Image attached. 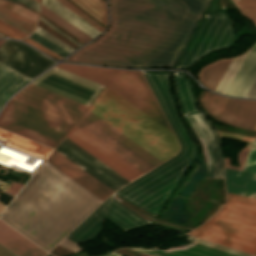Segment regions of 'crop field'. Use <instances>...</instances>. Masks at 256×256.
<instances>
[{"label": "crop field", "mask_w": 256, "mask_h": 256, "mask_svg": "<svg viewBox=\"0 0 256 256\" xmlns=\"http://www.w3.org/2000/svg\"><path fill=\"white\" fill-rule=\"evenodd\" d=\"M112 25L68 61L173 67L198 20L157 0H109Z\"/></svg>", "instance_id": "8a807250"}, {"label": "crop field", "mask_w": 256, "mask_h": 256, "mask_svg": "<svg viewBox=\"0 0 256 256\" xmlns=\"http://www.w3.org/2000/svg\"><path fill=\"white\" fill-rule=\"evenodd\" d=\"M143 73L171 124L182 150L174 158L109 196L67 236L78 244L95 239L103 230L106 219L124 232L149 224L150 222L134 214L112 197L117 195L156 216L198 156V149L180 118L172 95L170 73L144 71Z\"/></svg>", "instance_id": "ac0d7876"}, {"label": "crop field", "mask_w": 256, "mask_h": 256, "mask_svg": "<svg viewBox=\"0 0 256 256\" xmlns=\"http://www.w3.org/2000/svg\"><path fill=\"white\" fill-rule=\"evenodd\" d=\"M56 67L109 87L172 132L140 71L63 63ZM107 87L88 110L162 162L178 152L179 146L173 132Z\"/></svg>", "instance_id": "34b2d1b8"}, {"label": "crop field", "mask_w": 256, "mask_h": 256, "mask_svg": "<svg viewBox=\"0 0 256 256\" xmlns=\"http://www.w3.org/2000/svg\"><path fill=\"white\" fill-rule=\"evenodd\" d=\"M101 202L45 161L0 219L49 251Z\"/></svg>", "instance_id": "412701ff"}, {"label": "crop field", "mask_w": 256, "mask_h": 256, "mask_svg": "<svg viewBox=\"0 0 256 256\" xmlns=\"http://www.w3.org/2000/svg\"><path fill=\"white\" fill-rule=\"evenodd\" d=\"M227 196L218 213L187 234L256 255V199Z\"/></svg>", "instance_id": "f4fd0767"}, {"label": "crop field", "mask_w": 256, "mask_h": 256, "mask_svg": "<svg viewBox=\"0 0 256 256\" xmlns=\"http://www.w3.org/2000/svg\"><path fill=\"white\" fill-rule=\"evenodd\" d=\"M73 123L10 100L0 115V128L55 148Z\"/></svg>", "instance_id": "dd49c442"}, {"label": "crop field", "mask_w": 256, "mask_h": 256, "mask_svg": "<svg viewBox=\"0 0 256 256\" xmlns=\"http://www.w3.org/2000/svg\"><path fill=\"white\" fill-rule=\"evenodd\" d=\"M234 39V24L227 15H205L176 68H189L209 52L228 47Z\"/></svg>", "instance_id": "e52e79f7"}, {"label": "crop field", "mask_w": 256, "mask_h": 256, "mask_svg": "<svg viewBox=\"0 0 256 256\" xmlns=\"http://www.w3.org/2000/svg\"><path fill=\"white\" fill-rule=\"evenodd\" d=\"M32 84L60 94L87 106L103 86L58 69L56 67L39 77Z\"/></svg>", "instance_id": "d8731c3e"}, {"label": "crop field", "mask_w": 256, "mask_h": 256, "mask_svg": "<svg viewBox=\"0 0 256 256\" xmlns=\"http://www.w3.org/2000/svg\"><path fill=\"white\" fill-rule=\"evenodd\" d=\"M12 100L75 123L87 106L59 96L32 84L17 93Z\"/></svg>", "instance_id": "5a996713"}, {"label": "crop field", "mask_w": 256, "mask_h": 256, "mask_svg": "<svg viewBox=\"0 0 256 256\" xmlns=\"http://www.w3.org/2000/svg\"><path fill=\"white\" fill-rule=\"evenodd\" d=\"M0 62L32 79L56 63L23 43L12 40H7L0 47Z\"/></svg>", "instance_id": "3316defc"}, {"label": "crop field", "mask_w": 256, "mask_h": 256, "mask_svg": "<svg viewBox=\"0 0 256 256\" xmlns=\"http://www.w3.org/2000/svg\"><path fill=\"white\" fill-rule=\"evenodd\" d=\"M66 137L129 182L144 174L76 125Z\"/></svg>", "instance_id": "28ad6ade"}, {"label": "crop field", "mask_w": 256, "mask_h": 256, "mask_svg": "<svg viewBox=\"0 0 256 256\" xmlns=\"http://www.w3.org/2000/svg\"><path fill=\"white\" fill-rule=\"evenodd\" d=\"M56 150L113 191L129 183L66 137Z\"/></svg>", "instance_id": "d1516ede"}, {"label": "crop field", "mask_w": 256, "mask_h": 256, "mask_svg": "<svg viewBox=\"0 0 256 256\" xmlns=\"http://www.w3.org/2000/svg\"><path fill=\"white\" fill-rule=\"evenodd\" d=\"M87 133L95 137L97 140L102 142L104 145L109 147L111 150L116 152L118 155L123 157L125 160L133 164L135 167L140 169L142 172H147L152 169L153 166L148 161L140 157L138 154L130 150L128 147L120 143L118 140L110 136L108 133L100 129L98 126L90 122L85 117H81V119L76 124Z\"/></svg>", "instance_id": "22f410ed"}, {"label": "crop field", "mask_w": 256, "mask_h": 256, "mask_svg": "<svg viewBox=\"0 0 256 256\" xmlns=\"http://www.w3.org/2000/svg\"><path fill=\"white\" fill-rule=\"evenodd\" d=\"M46 161H48L50 164L55 166L61 172L66 174L68 177L73 179L75 182L80 184L82 187L87 189L102 201L112 193V191H110L108 188L100 184L98 181L93 179L91 176L83 172L81 169L76 167L74 164L69 162L55 151L52 152Z\"/></svg>", "instance_id": "cbeb9de0"}, {"label": "crop field", "mask_w": 256, "mask_h": 256, "mask_svg": "<svg viewBox=\"0 0 256 256\" xmlns=\"http://www.w3.org/2000/svg\"><path fill=\"white\" fill-rule=\"evenodd\" d=\"M219 120L231 126L252 130L256 123V101L229 98Z\"/></svg>", "instance_id": "5142ce71"}, {"label": "crop field", "mask_w": 256, "mask_h": 256, "mask_svg": "<svg viewBox=\"0 0 256 256\" xmlns=\"http://www.w3.org/2000/svg\"><path fill=\"white\" fill-rule=\"evenodd\" d=\"M130 248L136 249L151 256H250L244 253H240L234 250L210 244L201 240L191 245L190 248L184 253L174 250H168L167 252H165L155 248Z\"/></svg>", "instance_id": "d9b57169"}, {"label": "crop field", "mask_w": 256, "mask_h": 256, "mask_svg": "<svg viewBox=\"0 0 256 256\" xmlns=\"http://www.w3.org/2000/svg\"><path fill=\"white\" fill-rule=\"evenodd\" d=\"M0 244L17 256H44L46 252L0 221Z\"/></svg>", "instance_id": "733c2abd"}, {"label": "crop field", "mask_w": 256, "mask_h": 256, "mask_svg": "<svg viewBox=\"0 0 256 256\" xmlns=\"http://www.w3.org/2000/svg\"><path fill=\"white\" fill-rule=\"evenodd\" d=\"M256 76V49H250L226 94L244 97Z\"/></svg>", "instance_id": "4a817a6b"}, {"label": "crop field", "mask_w": 256, "mask_h": 256, "mask_svg": "<svg viewBox=\"0 0 256 256\" xmlns=\"http://www.w3.org/2000/svg\"><path fill=\"white\" fill-rule=\"evenodd\" d=\"M30 80L32 79L0 63V107L8 97Z\"/></svg>", "instance_id": "bc2a9ffb"}, {"label": "crop field", "mask_w": 256, "mask_h": 256, "mask_svg": "<svg viewBox=\"0 0 256 256\" xmlns=\"http://www.w3.org/2000/svg\"><path fill=\"white\" fill-rule=\"evenodd\" d=\"M174 89L184 114L200 112L196 105L189 80L181 74H173Z\"/></svg>", "instance_id": "214f88e0"}, {"label": "crop field", "mask_w": 256, "mask_h": 256, "mask_svg": "<svg viewBox=\"0 0 256 256\" xmlns=\"http://www.w3.org/2000/svg\"><path fill=\"white\" fill-rule=\"evenodd\" d=\"M0 139L6 141L4 145L15 148L17 150L23 151L25 153L31 154L33 156L39 157L41 159L48 156L51 149L31 142L29 140L23 139L6 131L0 129Z\"/></svg>", "instance_id": "92a150f3"}, {"label": "crop field", "mask_w": 256, "mask_h": 256, "mask_svg": "<svg viewBox=\"0 0 256 256\" xmlns=\"http://www.w3.org/2000/svg\"><path fill=\"white\" fill-rule=\"evenodd\" d=\"M42 5L89 35L90 37H95L97 34L101 33L94 27L86 23L84 20L67 10L63 7L57 0H42Z\"/></svg>", "instance_id": "dafd665d"}, {"label": "crop field", "mask_w": 256, "mask_h": 256, "mask_svg": "<svg viewBox=\"0 0 256 256\" xmlns=\"http://www.w3.org/2000/svg\"><path fill=\"white\" fill-rule=\"evenodd\" d=\"M86 118H88L90 121H92L93 123H95L96 125H98L100 128H102L103 130H105L106 132H108L110 135H112L113 137H115L116 139H118L120 142H122L123 144H125L126 146H128L130 149H132L133 151H135L136 153H138L140 156H142L143 158H145L146 160H148L150 163H152L153 165H158L162 162H160L158 159H156L155 157H153L152 155H150L148 152H146L145 150H143L141 147H139L138 145H136L135 143H133L131 140H129L128 138H126L124 135H122L121 133H119L117 130H115L114 128H112L111 126H109L107 123H105L104 121H102L100 118H98L97 116H95L94 114H92L90 111H86V113L83 115Z\"/></svg>", "instance_id": "00972430"}, {"label": "crop field", "mask_w": 256, "mask_h": 256, "mask_svg": "<svg viewBox=\"0 0 256 256\" xmlns=\"http://www.w3.org/2000/svg\"><path fill=\"white\" fill-rule=\"evenodd\" d=\"M0 22L28 36L36 24L0 7Z\"/></svg>", "instance_id": "a9b5d70f"}, {"label": "crop field", "mask_w": 256, "mask_h": 256, "mask_svg": "<svg viewBox=\"0 0 256 256\" xmlns=\"http://www.w3.org/2000/svg\"><path fill=\"white\" fill-rule=\"evenodd\" d=\"M200 19L210 0H160Z\"/></svg>", "instance_id": "4177f3b9"}, {"label": "crop field", "mask_w": 256, "mask_h": 256, "mask_svg": "<svg viewBox=\"0 0 256 256\" xmlns=\"http://www.w3.org/2000/svg\"><path fill=\"white\" fill-rule=\"evenodd\" d=\"M227 99L228 98H224L215 94L202 92L200 96V103L208 114L213 116L215 119H218Z\"/></svg>", "instance_id": "730fd06b"}, {"label": "crop field", "mask_w": 256, "mask_h": 256, "mask_svg": "<svg viewBox=\"0 0 256 256\" xmlns=\"http://www.w3.org/2000/svg\"><path fill=\"white\" fill-rule=\"evenodd\" d=\"M247 53L248 51L239 57L233 58L228 69L226 70L218 86L216 87V92L225 94L227 88L229 87L232 79L234 78Z\"/></svg>", "instance_id": "eef30255"}, {"label": "crop field", "mask_w": 256, "mask_h": 256, "mask_svg": "<svg viewBox=\"0 0 256 256\" xmlns=\"http://www.w3.org/2000/svg\"><path fill=\"white\" fill-rule=\"evenodd\" d=\"M41 10H42V14H44L46 17L54 21L63 29H65L66 31L74 35L76 38H78L82 42L85 43L90 39H92L86 34H84L83 32H81L80 30H78L77 28H75L74 26H72L71 24H69L68 22H66L65 20H63L62 18H60L59 16H57L56 14H54L53 12H51L50 10H48L47 8H45L44 6H41Z\"/></svg>", "instance_id": "ae1a2a85"}, {"label": "crop field", "mask_w": 256, "mask_h": 256, "mask_svg": "<svg viewBox=\"0 0 256 256\" xmlns=\"http://www.w3.org/2000/svg\"><path fill=\"white\" fill-rule=\"evenodd\" d=\"M73 1L77 3L79 6H81L83 9H85L87 12H89L91 15H93L95 18H97L99 21H101L103 24L106 25L107 18H106L105 4L103 0H73ZM79 2H81L87 8H89L91 11H93L103 20L97 17L95 14H93L90 10L82 6Z\"/></svg>", "instance_id": "d3111659"}, {"label": "crop field", "mask_w": 256, "mask_h": 256, "mask_svg": "<svg viewBox=\"0 0 256 256\" xmlns=\"http://www.w3.org/2000/svg\"><path fill=\"white\" fill-rule=\"evenodd\" d=\"M226 180L256 186V174L225 168Z\"/></svg>", "instance_id": "750c4746"}, {"label": "crop field", "mask_w": 256, "mask_h": 256, "mask_svg": "<svg viewBox=\"0 0 256 256\" xmlns=\"http://www.w3.org/2000/svg\"><path fill=\"white\" fill-rule=\"evenodd\" d=\"M0 6L9 11H12V12H14V13L34 22V23L36 22V20L39 16L21 6L15 5L13 3H10V2L4 1V0H0Z\"/></svg>", "instance_id": "bd1437ed"}, {"label": "crop field", "mask_w": 256, "mask_h": 256, "mask_svg": "<svg viewBox=\"0 0 256 256\" xmlns=\"http://www.w3.org/2000/svg\"><path fill=\"white\" fill-rule=\"evenodd\" d=\"M227 192L256 198V187L226 181Z\"/></svg>", "instance_id": "1d83c4d3"}, {"label": "crop field", "mask_w": 256, "mask_h": 256, "mask_svg": "<svg viewBox=\"0 0 256 256\" xmlns=\"http://www.w3.org/2000/svg\"><path fill=\"white\" fill-rule=\"evenodd\" d=\"M244 14L256 24V0H234Z\"/></svg>", "instance_id": "120bbe31"}, {"label": "crop field", "mask_w": 256, "mask_h": 256, "mask_svg": "<svg viewBox=\"0 0 256 256\" xmlns=\"http://www.w3.org/2000/svg\"><path fill=\"white\" fill-rule=\"evenodd\" d=\"M30 39H32L33 41L37 42L38 44L42 45L43 47L47 48L48 50L64 57L66 54H68L67 52H65L64 50H62L61 48L57 47L56 45H54L53 43L49 42L48 40L42 38L41 36L33 33L30 37H28Z\"/></svg>", "instance_id": "d32e631a"}, {"label": "crop field", "mask_w": 256, "mask_h": 256, "mask_svg": "<svg viewBox=\"0 0 256 256\" xmlns=\"http://www.w3.org/2000/svg\"><path fill=\"white\" fill-rule=\"evenodd\" d=\"M62 5H64L66 8L74 12L76 15L87 21L89 24L97 28L99 31H103V27H101L99 24H97L95 21H93L91 18H89L87 15H85L83 12H81L79 9H77L75 6H73L71 3H69L67 0H58Z\"/></svg>", "instance_id": "5866460e"}, {"label": "crop field", "mask_w": 256, "mask_h": 256, "mask_svg": "<svg viewBox=\"0 0 256 256\" xmlns=\"http://www.w3.org/2000/svg\"><path fill=\"white\" fill-rule=\"evenodd\" d=\"M35 32H37L38 34L42 35L43 37H45L46 39H48L49 41L53 42L54 44H56L57 46L61 47L62 49H64L65 51H67L69 53L74 50L71 47H69L68 45H66L63 42H61L60 40H58L57 38H55L54 36H52L49 33L45 32L44 30H42L39 27H36Z\"/></svg>", "instance_id": "028f5c9d"}, {"label": "crop field", "mask_w": 256, "mask_h": 256, "mask_svg": "<svg viewBox=\"0 0 256 256\" xmlns=\"http://www.w3.org/2000/svg\"><path fill=\"white\" fill-rule=\"evenodd\" d=\"M242 170L256 173V150H249Z\"/></svg>", "instance_id": "e1f06a70"}, {"label": "crop field", "mask_w": 256, "mask_h": 256, "mask_svg": "<svg viewBox=\"0 0 256 256\" xmlns=\"http://www.w3.org/2000/svg\"><path fill=\"white\" fill-rule=\"evenodd\" d=\"M218 133H219V135L222 136V137H228V138H234V139H239V140L248 141V144H247L246 147H249V146H250L251 141H252V139H253V138H251V137L240 136V135H235V134H230V133H224V132H219V131H218ZM253 140L256 141V138H254ZM255 141L252 142V144H251L250 147L256 148V142H255Z\"/></svg>", "instance_id": "0bd39190"}, {"label": "crop field", "mask_w": 256, "mask_h": 256, "mask_svg": "<svg viewBox=\"0 0 256 256\" xmlns=\"http://www.w3.org/2000/svg\"><path fill=\"white\" fill-rule=\"evenodd\" d=\"M0 33L6 35V36H9L11 38H18V39H22L26 36L4 26L3 24L0 23Z\"/></svg>", "instance_id": "b80d0937"}, {"label": "crop field", "mask_w": 256, "mask_h": 256, "mask_svg": "<svg viewBox=\"0 0 256 256\" xmlns=\"http://www.w3.org/2000/svg\"><path fill=\"white\" fill-rule=\"evenodd\" d=\"M60 245L66 247V248H68V249H70V250H72V251H74V252H77V251L83 249L81 246H79V245H77V244H75V243H73V242H71V241H69V240H67V239H64V240L60 243Z\"/></svg>", "instance_id": "c035e120"}, {"label": "crop field", "mask_w": 256, "mask_h": 256, "mask_svg": "<svg viewBox=\"0 0 256 256\" xmlns=\"http://www.w3.org/2000/svg\"><path fill=\"white\" fill-rule=\"evenodd\" d=\"M22 40L25 41V42H27V43H29V44H31V45H33V46H35V47H37L38 49H40V50H42V51H44V52H46V53H48V54H50V55H52V56L58 58V59H61V58H62V57H60V56H58V55H56V54H54V53L48 51L47 49L43 48L42 46L38 45L37 43L33 42L32 40H30V39H28V38H25V39H22Z\"/></svg>", "instance_id": "c21b1889"}, {"label": "crop field", "mask_w": 256, "mask_h": 256, "mask_svg": "<svg viewBox=\"0 0 256 256\" xmlns=\"http://www.w3.org/2000/svg\"><path fill=\"white\" fill-rule=\"evenodd\" d=\"M14 1H17V2H21L37 11H39V3L33 1V0H14Z\"/></svg>", "instance_id": "03da06ac"}, {"label": "crop field", "mask_w": 256, "mask_h": 256, "mask_svg": "<svg viewBox=\"0 0 256 256\" xmlns=\"http://www.w3.org/2000/svg\"><path fill=\"white\" fill-rule=\"evenodd\" d=\"M245 97H252L256 98V78L253 81L252 85L250 86L248 92L246 93Z\"/></svg>", "instance_id": "b54c1fbb"}, {"label": "crop field", "mask_w": 256, "mask_h": 256, "mask_svg": "<svg viewBox=\"0 0 256 256\" xmlns=\"http://www.w3.org/2000/svg\"><path fill=\"white\" fill-rule=\"evenodd\" d=\"M40 20H42L44 23H46L48 26H50L52 29H54L56 32H58L59 34L63 35L64 37H66L67 39L71 40L72 42H74L77 45H81L78 42L74 41L73 39H71L70 37L66 36L65 34H63L62 32H60L58 29H56L54 26H52L51 24H49L47 21H45L43 18H40Z\"/></svg>", "instance_id": "5d738f31"}, {"label": "crop field", "mask_w": 256, "mask_h": 256, "mask_svg": "<svg viewBox=\"0 0 256 256\" xmlns=\"http://www.w3.org/2000/svg\"><path fill=\"white\" fill-rule=\"evenodd\" d=\"M0 256H15V255L0 245Z\"/></svg>", "instance_id": "d23c7cc5"}, {"label": "crop field", "mask_w": 256, "mask_h": 256, "mask_svg": "<svg viewBox=\"0 0 256 256\" xmlns=\"http://www.w3.org/2000/svg\"><path fill=\"white\" fill-rule=\"evenodd\" d=\"M101 256H121V255L116 254L114 252H111V253H107V254H104V255H101Z\"/></svg>", "instance_id": "425ffa30"}, {"label": "crop field", "mask_w": 256, "mask_h": 256, "mask_svg": "<svg viewBox=\"0 0 256 256\" xmlns=\"http://www.w3.org/2000/svg\"><path fill=\"white\" fill-rule=\"evenodd\" d=\"M5 40H0V45L4 42Z\"/></svg>", "instance_id": "25e5ab78"}, {"label": "crop field", "mask_w": 256, "mask_h": 256, "mask_svg": "<svg viewBox=\"0 0 256 256\" xmlns=\"http://www.w3.org/2000/svg\"><path fill=\"white\" fill-rule=\"evenodd\" d=\"M253 130H256V125H255V127H254V129Z\"/></svg>", "instance_id": "73cf0c24"}, {"label": "crop field", "mask_w": 256, "mask_h": 256, "mask_svg": "<svg viewBox=\"0 0 256 256\" xmlns=\"http://www.w3.org/2000/svg\"><path fill=\"white\" fill-rule=\"evenodd\" d=\"M253 47H256V44Z\"/></svg>", "instance_id": "89e229c0"}, {"label": "crop field", "mask_w": 256, "mask_h": 256, "mask_svg": "<svg viewBox=\"0 0 256 256\" xmlns=\"http://www.w3.org/2000/svg\"><path fill=\"white\" fill-rule=\"evenodd\" d=\"M35 1L39 2V0H35Z\"/></svg>", "instance_id": "1f2cbd36"}, {"label": "crop field", "mask_w": 256, "mask_h": 256, "mask_svg": "<svg viewBox=\"0 0 256 256\" xmlns=\"http://www.w3.org/2000/svg\"><path fill=\"white\" fill-rule=\"evenodd\" d=\"M2 212V210H0V213Z\"/></svg>", "instance_id": "dbb93151"}, {"label": "crop field", "mask_w": 256, "mask_h": 256, "mask_svg": "<svg viewBox=\"0 0 256 256\" xmlns=\"http://www.w3.org/2000/svg\"><path fill=\"white\" fill-rule=\"evenodd\" d=\"M1 37V36H0Z\"/></svg>", "instance_id": "0fb4a251"}]
</instances>
